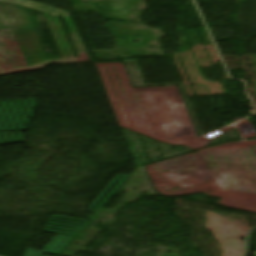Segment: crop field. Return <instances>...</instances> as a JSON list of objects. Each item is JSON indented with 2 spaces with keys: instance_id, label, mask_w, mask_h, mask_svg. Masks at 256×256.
Returning a JSON list of instances; mask_svg holds the SVG:
<instances>
[{
  "instance_id": "1",
  "label": "crop field",
  "mask_w": 256,
  "mask_h": 256,
  "mask_svg": "<svg viewBox=\"0 0 256 256\" xmlns=\"http://www.w3.org/2000/svg\"><path fill=\"white\" fill-rule=\"evenodd\" d=\"M30 101H31L33 110H31L27 99H26V100H22V102H23V104H24V107H25V109H26V111H27V114H28V116H29V118L27 119V117H26V115H25V112H24V110H23V107H22V104H21L20 100H15V102H16V104H17V106H18V108H19V110H20V112H21V115H22V117H23V119H24V121H25V123H26V125H27V127H24V125H23V123H22V121H21V118H20V116H19V114H18V111H17V109H16V106H15L13 100H8V103H9V105H10V107H11V110H12V112H13V114H14V117H15V119H16V121H17V124H18L20 130H26V129L28 128V126H29V124H30V121H31V119H32V116H33V114H34V112H35V109H36V107H37V104H36V102H35L34 99H30ZM1 103H2V105H3V107H4V109H5V112H6L7 116H8V118H9V121H10V123H11L13 129H10V127H9V125H8V122H7V120H6V117H5V115H4V113H3V110H2V108H1V105H0V117H1L2 122H3V124H4L5 128H6V130H3L2 126H1V123H0V131H18L17 128H16V126H15V123H14V121H13V118H12V116H11V113H10V110H9V108H8V105H7L6 101H1ZM12 127H11V128H12Z\"/></svg>"
},
{
  "instance_id": "2",
  "label": "crop field",
  "mask_w": 256,
  "mask_h": 256,
  "mask_svg": "<svg viewBox=\"0 0 256 256\" xmlns=\"http://www.w3.org/2000/svg\"><path fill=\"white\" fill-rule=\"evenodd\" d=\"M120 176H123L121 180L116 184V186L111 190V192L107 195V197L102 201V203L97 207L95 211V207L99 204V202L103 199V197L107 194V192L111 189L114 183L118 180ZM128 176L117 174L116 177L110 182V184L105 188V190L100 194V196L94 201V203L90 206L89 210L91 212H100L102 208L107 204V202L112 198V196L117 192V190L122 186V184L127 180Z\"/></svg>"
},
{
  "instance_id": "3",
  "label": "crop field",
  "mask_w": 256,
  "mask_h": 256,
  "mask_svg": "<svg viewBox=\"0 0 256 256\" xmlns=\"http://www.w3.org/2000/svg\"><path fill=\"white\" fill-rule=\"evenodd\" d=\"M54 217L61 218V219H67V220H73V221H80V222L86 223V225L77 224V223H71V222H65V221H61V220L54 219ZM51 220L60 221V222H65V223H70V224L82 226V227H84V228L90 223V221H85V220H79V219H73V218H67V217H61V216H56V215H54V216H52V217L50 218V220L48 221L49 224H56V225H61V226H65V227L75 228V229H79L80 231H73V230L62 229V230H67V231L75 232L76 235H74V234H69V233H64V232H59V231L48 230V228L61 229V228L49 226V224L46 225V228L44 229L45 231H50V232L59 233V234H64V235L73 236V237H76L84 228H76V227H71V226H67V225H63V224L53 223V222H50Z\"/></svg>"
},
{
  "instance_id": "4",
  "label": "crop field",
  "mask_w": 256,
  "mask_h": 256,
  "mask_svg": "<svg viewBox=\"0 0 256 256\" xmlns=\"http://www.w3.org/2000/svg\"><path fill=\"white\" fill-rule=\"evenodd\" d=\"M74 238L57 235L42 251L53 254H58L66 245H68ZM51 245L49 250L47 248Z\"/></svg>"
},
{
  "instance_id": "5",
  "label": "crop field",
  "mask_w": 256,
  "mask_h": 256,
  "mask_svg": "<svg viewBox=\"0 0 256 256\" xmlns=\"http://www.w3.org/2000/svg\"><path fill=\"white\" fill-rule=\"evenodd\" d=\"M7 133H8V132H3L4 137H5V139H6V142H7V144H12L11 141H10V139H9V137H8V135H7ZM16 133H17V135H18L20 141H21V142H25L24 139H23L22 133H21V132H16ZM10 134H11V136H12V139H13L14 143H21V142H18V140H17V138H16L14 132H10ZM3 144H4V142H3V140H2V138H1V136H0V145H3Z\"/></svg>"
},
{
  "instance_id": "6",
  "label": "crop field",
  "mask_w": 256,
  "mask_h": 256,
  "mask_svg": "<svg viewBox=\"0 0 256 256\" xmlns=\"http://www.w3.org/2000/svg\"><path fill=\"white\" fill-rule=\"evenodd\" d=\"M256 255V254H255Z\"/></svg>"
}]
</instances>
